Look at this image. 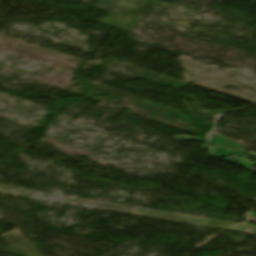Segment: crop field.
<instances>
[{
	"label": "crop field",
	"mask_w": 256,
	"mask_h": 256,
	"mask_svg": "<svg viewBox=\"0 0 256 256\" xmlns=\"http://www.w3.org/2000/svg\"><path fill=\"white\" fill-rule=\"evenodd\" d=\"M212 141H216V142H219V143H222V144H226V145H229V146H232V147H235L237 149L241 148V144H237V143H232L230 140H228L227 138L219 135V134H216L214 136V138L212 139Z\"/></svg>",
	"instance_id": "crop-field-1"
},
{
	"label": "crop field",
	"mask_w": 256,
	"mask_h": 256,
	"mask_svg": "<svg viewBox=\"0 0 256 256\" xmlns=\"http://www.w3.org/2000/svg\"><path fill=\"white\" fill-rule=\"evenodd\" d=\"M210 142L222 146L218 150V152L222 153V155H224V156H229L230 153L240 154L242 152L240 150L234 149V148L229 147V146H225V145H222V144H219V143H215V142H212V141H210Z\"/></svg>",
	"instance_id": "crop-field-2"
},
{
	"label": "crop field",
	"mask_w": 256,
	"mask_h": 256,
	"mask_svg": "<svg viewBox=\"0 0 256 256\" xmlns=\"http://www.w3.org/2000/svg\"><path fill=\"white\" fill-rule=\"evenodd\" d=\"M240 161H241V162H240L239 164H242V165H244V166L253 168L252 165H253L254 163H250L251 161H249V160H243V159H240ZM253 169H255V168H253Z\"/></svg>",
	"instance_id": "crop-field-3"
},
{
	"label": "crop field",
	"mask_w": 256,
	"mask_h": 256,
	"mask_svg": "<svg viewBox=\"0 0 256 256\" xmlns=\"http://www.w3.org/2000/svg\"><path fill=\"white\" fill-rule=\"evenodd\" d=\"M178 138H187V139H196V140L205 141L204 139H201V138H198V137L180 136V137H176L175 139H178Z\"/></svg>",
	"instance_id": "crop-field-4"
}]
</instances>
